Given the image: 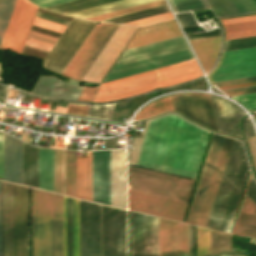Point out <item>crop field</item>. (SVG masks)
Returning a JSON list of instances; mask_svg holds the SVG:
<instances>
[{
    "mask_svg": "<svg viewBox=\"0 0 256 256\" xmlns=\"http://www.w3.org/2000/svg\"><path fill=\"white\" fill-rule=\"evenodd\" d=\"M232 98L243 104L248 110L256 107V93L233 96Z\"/></svg>",
    "mask_w": 256,
    "mask_h": 256,
    "instance_id": "c035e120",
    "label": "crop field"
},
{
    "mask_svg": "<svg viewBox=\"0 0 256 256\" xmlns=\"http://www.w3.org/2000/svg\"><path fill=\"white\" fill-rule=\"evenodd\" d=\"M221 256H232V255H221Z\"/></svg>",
    "mask_w": 256,
    "mask_h": 256,
    "instance_id": "d14b1444",
    "label": "crop field"
},
{
    "mask_svg": "<svg viewBox=\"0 0 256 256\" xmlns=\"http://www.w3.org/2000/svg\"><path fill=\"white\" fill-rule=\"evenodd\" d=\"M113 1H117V0H86L78 3L50 9V10H54V11L66 14L69 12H73V11H77V10H81V9H85V8L113 2Z\"/></svg>",
    "mask_w": 256,
    "mask_h": 256,
    "instance_id": "028f5c9d",
    "label": "crop field"
},
{
    "mask_svg": "<svg viewBox=\"0 0 256 256\" xmlns=\"http://www.w3.org/2000/svg\"><path fill=\"white\" fill-rule=\"evenodd\" d=\"M246 140L248 142L249 151H250L254 168L256 169V135L249 137Z\"/></svg>",
    "mask_w": 256,
    "mask_h": 256,
    "instance_id": "425ffa30",
    "label": "crop field"
},
{
    "mask_svg": "<svg viewBox=\"0 0 256 256\" xmlns=\"http://www.w3.org/2000/svg\"><path fill=\"white\" fill-rule=\"evenodd\" d=\"M188 37V40H192V39H198V38H204V37H211V36H217L220 35V30L216 29L210 32H199V33H190V34H186Z\"/></svg>",
    "mask_w": 256,
    "mask_h": 256,
    "instance_id": "25e5ab78",
    "label": "crop field"
},
{
    "mask_svg": "<svg viewBox=\"0 0 256 256\" xmlns=\"http://www.w3.org/2000/svg\"><path fill=\"white\" fill-rule=\"evenodd\" d=\"M0 256H2V232H1V182H0Z\"/></svg>",
    "mask_w": 256,
    "mask_h": 256,
    "instance_id": "447ae74e",
    "label": "crop field"
},
{
    "mask_svg": "<svg viewBox=\"0 0 256 256\" xmlns=\"http://www.w3.org/2000/svg\"><path fill=\"white\" fill-rule=\"evenodd\" d=\"M209 132L176 115L154 120L136 164L195 178Z\"/></svg>",
    "mask_w": 256,
    "mask_h": 256,
    "instance_id": "ac0d7876",
    "label": "crop field"
},
{
    "mask_svg": "<svg viewBox=\"0 0 256 256\" xmlns=\"http://www.w3.org/2000/svg\"><path fill=\"white\" fill-rule=\"evenodd\" d=\"M222 136L214 135L208 157L193 199V203L187 218V223L195 224L197 223L200 210L207 192V188L214 170V166L221 148L223 141Z\"/></svg>",
    "mask_w": 256,
    "mask_h": 256,
    "instance_id": "d9b57169",
    "label": "crop field"
},
{
    "mask_svg": "<svg viewBox=\"0 0 256 256\" xmlns=\"http://www.w3.org/2000/svg\"><path fill=\"white\" fill-rule=\"evenodd\" d=\"M63 143L64 142L57 141L56 147L62 148L63 147Z\"/></svg>",
    "mask_w": 256,
    "mask_h": 256,
    "instance_id": "78b8030e",
    "label": "crop field"
},
{
    "mask_svg": "<svg viewBox=\"0 0 256 256\" xmlns=\"http://www.w3.org/2000/svg\"><path fill=\"white\" fill-rule=\"evenodd\" d=\"M256 14V13H255ZM248 15H254V14H248ZM242 16H246V15H242ZM235 17H239V16H235ZM228 18H231V17H228ZM223 19V18H222Z\"/></svg>",
    "mask_w": 256,
    "mask_h": 256,
    "instance_id": "ae633e8c",
    "label": "crop field"
},
{
    "mask_svg": "<svg viewBox=\"0 0 256 256\" xmlns=\"http://www.w3.org/2000/svg\"><path fill=\"white\" fill-rule=\"evenodd\" d=\"M248 171L243 145L234 139L209 217L208 228L230 232Z\"/></svg>",
    "mask_w": 256,
    "mask_h": 256,
    "instance_id": "34b2d1b8",
    "label": "crop field"
},
{
    "mask_svg": "<svg viewBox=\"0 0 256 256\" xmlns=\"http://www.w3.org/2000/svg\"><path fill=\"white\" fill-rule=\"evenodd\" d=\"M175 12L209 8L204 0H169Z\"/></svg>",
    "mask_w": 256,
    "mask_h": 256,
    "instance_id": "5866460e",
    "label": "crop field"
},
{
    "mask_svg": "<svg viewBox=\"0 0 256 256\" xmlns=\"http://www.w3.org/2000/svg\"><path fill=\"white\" fill-rule=\"evenodd\" d=\"M242 126L246 138L255 134L248 117L243 120Z\"/></svg>",
    "mask_w": 256,
    "mask_h": 256,
    "instance_id": "dbb93151",
    "label": "crop field"
},
{
    "mask_svg": "<svg viewBox=\"0 0 256 256\" xmlns=\"http://www.w3.org/2000/svg\"><path fill=\"white\" fill-rule=\"evenodd\" d=\"M4 180L22 184V142L5 133Z\"/></svg>",
    "mask_w": 256,
    "mask_h": 256,
    "instance_id": "4a817a6b",
    "label": "crop field"
},
{
    "mask_svg": "<svg viewBox=\"0 0 256 256\" xmlns=\"http://www.w3.org/2000/svg\"><path fill=\"white\" fill-rule=\"evenodd\" d=\"M191 58L194 57L183 36L125 50L104 81L163 67Z\"/></svg>",
    "mask_w": 256,
    "mask_h": 256,
    "instance_id": "dd49c442",
    "label": "crop field"
},
{
    "mask_svg": "<svg viewBox=\"0 0 256 256\" xmlns=\"http://www.w3.org/2000/svg\"><path fill=\"white\" fill-rule=\"evenodd\" d=\"M31 33L38 34V35H41V36H44V37H47V38H51V39L56 40V38H52V37H49V36H46V35H42V34H39V33H36V32H32V31H31Z\"/></svg>",
    "mask_w": 256,
    "mask_h": 256,
    "instance_id": "0f1d7ab4",
    "label": "crop field"
},
{
    "mask_svg": "<svg viewBox=\"0 0 256 256\" xmlns=\"http://www.w3.org/2000/svg\"><path fill=\"white\" fill-rule=\"evenodd\" d=\"M3 256L29 255L28 188L2 182Z\"/></svg>",
    "mask_w": 256,
    "mask_h": 256,
    "instance_id": "e52e79f7",
    "label": "crop field"
},
{
    "mask_svg": "<svg viewBox=\"0 0 256 256\" xmlns=\"http://www.w3.org/2000/svg\"><path fill=\"white\" fill-rule=\"evenodd\" d=\"M36 16L44 18V19H48V20H51V21H54V22H58V23H61V24H65V25L68 23V20L61 19V18L52 16V15H49V14H45V13L39 12V11L37 12Z\"/></svg>",
    "mask_w": 256,
    "mask_h": 256,
    "instance_id": "1f2cbd36",
    "label": "crop field"
},
{
    "mask_svg": "<svg viewBox=\"0 0 256 256\" xmlns=\"http://www.w3.org/2000/svg\"><path fill=\"white\" fill-rule=\"evenodd\" d=\"M87 106L88 105L68 103L66 113L85 116Z\"/></svg>",
    "mask_w": 256,
    "mask_h": 256,
    "instance_id": "d23c7cc5",
    "label": "crop field"
},
{
    "mask_svg": "<svg viewBox=\"0 0 256 256\" xmlns=\"http://www.w3.org/2000/svg\"><path fill=\"white\" fill-rule=\"evenodd\" d=\"M36 9L27 0L16 1L0 47L22 52Z\"/></svg>",
    "mask_w": 256,
    "mask_h": 256,
    "instance_id": "3316defc",
    "label": "crop field"
},
{
    "mask_svg": "<svg viewBox=\"0 0 256 256\" xmlns=\"http://www.w3.org/2000/svg\"><path fill=\"white\" fill-rule=\"evenodd\" d=\"M93 201L110 205V150L92 151Z\"/></svg>",
    "mask_w": 256,
    "mask_h": 256,
    "instance_id": "5142ce71",
    "label": "crop field"
},
{
    "mask_svg": "<svg viewBox=\"0 0 256 256\" xmlns=\"http://www.w3.org/2000/svg\"><path fill=\"white\" fill-rule=\"evenodd\" d=\"M14 3L15 0L0 1V42L2 40Z\"/></svg>",
    "mask_w": 256,
    "mask_h": 256,
    "instance_id": "e1f06a70",
    "label": "crop field"
},
{
    "mask_svg": "<svg viewBox=\"0 0 256 256\" xmlns=\"http://www.w3.org/2000/svg\"><path fill=\"white\" fill-rule=\"evenodd\" d=\"M169 11L170 10L168 9L167 5H165V6H161V7H157V8H153V9H149V10H145V11H141V12H137V13H133V14L117 17V18H113V19H109V20H105L102 22L123 24V23L135 21L138 19L154 16V15L169 12Z\"/></svg>",
    "mask_w": 256,
    "mask_h": 256,
    "instance_id": "120bbe31",
    "label": "crop field"
},
{
    "mask_svg": "<svg viewBox=\"0 0 256 256\" xmlns=\"http://www.w3.org/2000/svg\"><path fill=\"white\" fill-rule=\"evenodd\" d=\"M192 180L161 174L129 166L131 191L188 202Z\"/></svg>",
    "mask_w": 256,
    "mask_h": 256,
    "instance_id": "d8731c3e",
    "label": "crop field"
},
{
    "mask_svg": "<svg viewBox=\"0 0 256 256\" xmlns=\"http://www.w3.org/2000/svg\"><path fill=\"white\" fill-rule=\"evenodd\" d=\"M164 4H166L164 0H158V1L150 2V3H146V4H142V5H138V6H134V7H130V8H126V9H122V10H118V11H114V12H110V13H106V14H102V15H98V16H94V17H90L87 19L100 21V20L132 13V12H136V11L164 5Z\"/></svg>",
    "mask_w": 256,
    "mask_h": 256,
    "instance_id": "d32e631a",
    "label": "crop field"
},
{
    "mask_svg": "<svg viewBox=\"0 0 256 256\" xmlns=\"http://www.w3.org/2000/svg\"><path fill=\"white\" fill-rule=\"evenodd\" d=\"M33 256H63L62 196L32 189Z\"/></svg>",
    "mask_w": 256,
    "mask_h": 256,
    "instance_id": "f4fd0767",
    "label": "crop field"
},
{
    "mask_svg": "<svg viewBox=\"0 0 256 256\" xmlns=\"http://www.w3.org/2000/svg\"><path fill=\"white\" fill-rule=\"evenodd\" d=\"M185 203L129 191V209L181 221Z\"/></svg>",
    "mask_w": 256,
    "mask_h": 256,
    "instance_id": "d1516ede",
    "label": "crop field"
},
{
    "mask_svg": "<svg viewBox=\"0 0 256 256\" xmlns=\"http://www.w3.org/2000/svg\"><path fill=\"white\" fill-rule=\"evenodd\" d=\"M232 140L233 139H231V138H227V137L224 138L222 148H221L218 160H217V164H216V167H215L212 179H211V183H210V186H209L206 198H205V202H204L201 214H200V218H199V221L197 224L199 226H203V227L206 226L208 216H209L212 204H213V200H214V197H215L218 185H219V181H220V178H221L224 166H225V162H226L229 150H230Z\"/></svg>",
    "mask_w": 256,
    "mask_h": 256,
    "instance_id": "214f88e0",
    "label": "crop field"
},
{
    "mask_svg": "<svg viewBox=\"0 0 256 256\" xmlns=\"http://www.w3.org/2000/svg\"><path fill=\"white\" fill-rule=\"evenodd\" d=\"M2 70L0 69V74H1Z\"/></svg>",
    "mask_w": 256,
    "mask_h": 256,
    "instance_id": "c39391a2",
    "label": "crop field"
},
{
    "mask_svg": "<svg viewBox=\"0 0 256 256\" xmlns=\"http://www.w3.org/2000/svg\"><path fill=\"white\" fill-rule=\"evenodd\" d=\"M183 29L198 27L190 12L176 14Z\"/></svg>",
    "mask_w": 256,
    "mask_h": 256,
    "instance_id": "03da06ac",
    "label": "crop field"
},
{
    "mask_svg": "<svg viewBox=\"0 0 256 256\" xmlns=\"http://www.w3.org/2000/svg\"><path fill=\"white\" fill-rule=\"evenodd\" d=\"M80 256H101L100 205L80 200Z\"/></svg>",
    "mask_w": 256,
    "mask_h": 256,
    "instance_id": "28ad6ade",
    "label": "crop field"
},
{
    "mask_svg": "<svg viewBox=\"0 0 256 256\" xmlns=\"http://www.w3.org/2000/svg\"><path fill=\"white\" fill-rule=\"evenodd\" d=\"M172 17L173 16H172L171 12H169V13L157 15V16H154V17L138 20V21H135V22L127 23V24L142 26V25L150 24V23H153V22L161 21V20H164V19L172 18Z\"/></svg>",
    "mask_w": 256,
    "mask_h": 256,
    "instance_id": "5d738f31",
    "label": "crop field"
},
{
    "mask_svg": "<svg viewBox=\"0 0 256 256\" xmlns=\"http://www.w3.org/2000/svg\"><path fill=\"white\" fill-rule=\"evenodd\" d=\"M28 41H32V42H35V43H39V44H43V45H46V46H50L51 47V45H48V44H45V43H42V42H38V41H35V40H32V39H27Z\"/></svg>",
    "mask_w": 256,
    "mask_h": 256,
    "instance_id": "7b73153f",
    "label": "crop field"
},
{
    "mask_svg": "<svg viewBox=\"0 0 256 256\" xmlns=\"http://www.w3.org/2000/svg\"><path fill=\"white\" fill-rule=\"evenodd\" d=\"M250 243L256 244V239L252 238Z\"/></svg>",
    "mask_w": 256,
    "mask_h": 256,
    "instance_id": "e1d0b9f6",
    "label": "crop field"
},
{
    "mask_svg": "<svg viewBox=\"0 0 256 256\" xmlns=\"http://www.w3.org/2000/svg\"><path fill=\"white\" fill-rule=\"evenodd\" d=\"M255 46H256V37L228 40V41H225L224 43L223 51L255 47Z\"/></svg>",
    "mask_w": 256,
    "mask_h": 256,
    "instance_id": "b80d0937",
    "label": "crop field"
},
{
    "mask_svg": "<svg viewBox=\"0 0 256 256\" xmlns=\"http://www.w3.org/2000/svg\"><path fill=\"white\" fill-rule=\"evenodd\" d=\"M218 18L255 13L256 0H208Z\"/></svg>",
    "mask_w": 256,
    "mask_h": 256,
    "instance_id": "92a150f3",
    "label": "crop field"
},
{
    "mask_svg": "<svg viewBox=\"0 0 256 256\" xmlns=\"http://www.w3.org/2000/svg\"><path fill=\"white\" fill-rule=\"evenodd\" d=\"M233 233L256 237V206L244 196Z\"/></svg>",
    "mask_w": 256,
    "mask_h": 256,
    "instance_id": "4177f3b9",
    "label": "crop field"
},
{
    "mask_svg": "<svg viewBox=\"0 0 256 256\" xmlns=\"http://www.w3.org/2000/svg\"><path fill=\"white\" fill-rule=\"evenodd\" d=\"M219 65L207 76L210 82L256 76V48L225 52Z\"/></svg>",
    "mask_w": 256,
    "mask_h": 256,
    "instance_id": "5a996713",
    "label": "crop field"
},
{
    "mask_svg": "<svg viewBox=\"0 0 256 256\" xmlns=\"http://www.w3.org/2000/svg\"><path fill=\"white\" fill-rule=\"evenodd\" d=\"M150 1H154V0H122V1L111 3V4L67 14V15L86 18V17L130 7V6H134V5H138V4H142Z\"/></svg>",
    "mask_w": 256,
    "mask_h": 256,
    "instance_id": "d3111659",
    "label": "crop field"
},
{
    "mask_svg": "<svg viewBox=\"0 0 256 256\" xmlns=\"http://www.w3.org/2000/svg\"><path fill=\"white\" fill-rule=\"evenodd\" d=\"M160 256H187V225L159 219Z\"/></svg>",
    "mask_w": 256,
    "mask_h": 256,
    "instance_id": "cbeb9de0",
    "label": "crop field"
},
{
    "mask_svg": "<svg viewBox=\"0 0 256 256\" xmlns=\"http://www.w3.org/2000/svg\"><path fill=\"white\" fill-rule=\"evenodd\" d=\"M0 177L3 178V135H0Z\"/></svg>",
    "mask_w": 256,
    "mask_h": 256,
    "instance_id": "1d79db26",
    "label": "crop field"
},
{
    "mask_svg": "<svg viewBox=\"0 0 256 256\" xmlns=\"http://www.w3.org/2000/svg\"><path fill=\"white\" fill-rule=\"evenodd\" d=\"M28 37L32 38V39H35V40H38V41H42V42L51 44V45L54 43V40L47 39V38H44V37H41V36H38V35H34V34H31V33L29 34Z\"/></svg>",
    "mask_w": 256,
    "mask_h": 256,
    "instance_id": "9d1cf04e",
    "label": "crop field"
},
{
    "mask_svg": "<svg viewBox=\"0 0 256 256\" xmlns=\"http://www.w3.org/2000/svg\"><path fill=\"white\" fill-rule=\"evenodd\" d=\"M77 197L92 201L91 151L77 156Z\"/></svg>",
    "mask_w": 256,
    "mask_h": 256,
    "instance_id": "a9b5d70f",
    "label": "crop field"
},
{
    "mask_svg": "<svg viewBox=\"0 0 256 256\" xmlns=\"http://www.w3.org/2000/svg\"><path fill=\"white\" fill-rule=\"evenodd\" d=\"M233 256H236V255H233Z\"/></svg>",
    "mask_w": 256,
    "mask_h": 256,
    "instance_id": "ade564c9",
    "label": "crop field"
},
{
    "mask_svg": "<svg viewBox=\"0 0 256 256\" xmlns=\"http://www.w3.org/2000/svg\"><path fill=\"white\" fill-rule=\"evenodd\" d=\"M220 21L226 33L225 40L256 36V15Z\"/></svg>",
    "mask_w": 256,
    "mask_h": 256,
    "instance_id": "dafd665d",
    "label": "crop field"
},
{
    "mask_svg": "<svg viewBox=\"0 0 256 256\" xmlns=\"http://www.w3.org/2000/svg\"><path fill=\"white\" fill-rule=\"evenodd\" d=\"M218 256H220V255H218Z\"/></svg>",
    "mask_w": 256,
    "mask_h": 256,
    "instance_id": "c5b07064",
    "label": "crop field"
},
{
    "mask_svg": "<svg viewBox=\"0 0 256 256\" xmlns=\"http://www.w3.org/2000/svg\"><path fill=\"white\" fill-rule=\"evenodd\" d=\"M182 35L174 19L139 28L125 49Z\"/></svg>",
    "mask_w": 256,
    "mask_h": 256,
    "instance_id": "bc2a9ffb",
    "label": "crop field"
},
{
    "mask_svg": "<svg viewBox=\"0 0 256 256\" xmlns=\"http://www.w3.org/2000/svg\"><path fill=\"white\" fill-rule=\"evenodd\" d=\"M229 96L256 92V77L214 83Z\"/></svg>",
    "mask_w": 256,
    "mask_h": 256,
    "instance_id": "ae1a2a85",
    "label": "crop field"
},
{
    "mask_svg": "<svg viewBox=\"0 0 256 256\" xmlns=\"http://www.w3.org/2000/svg\"><path fill=\"white\" fill-rule=\"evenodd\" d=\"M64 256H67L66 197L63 196ZM73 256H79V200L72 198Z\"/></svg>",
    "mask_w": 256,
    "mask_h": 256,
    "instance_id": "eef30255",
    "label": "crop field"
},
{
    "mask_svg": "<svg viewBox=\"0 0 256 256\" xmlns=\"http://www.w3.org/2000/svg\"><path fill=\"white\" fill-rule=\"evenodd\" d=\"M108 105H93L89 104L86 116L99 117L105 119Z\"/></svg>",
    "mask_w": 256,
    "mask_h": 256,
    "instance_id": "c21b1889",
    "label": "crop field"
},
{
    "mask_svg": "<svg viewBox=\"0 0 256 256\" xmlns=\"http://www.w3.org/2000/svg\"><path fill=\"white\" fill-rule=\"evenodd\" d=\"M210 252V230L197 227V256Z\"/></svg>",
    "mask_w": 256,
    "mask_h": 256,
    "instance_id": "0bd39190",
    "label": "crop field"
},
{
    "mask_svg": "<svg viewBox=\"0 0 256 256\" xmlns=\"http://www.w3.org/2000/svg\"><path fill=\"white\" fill-rule=\"evenodd\" d=\"M106 83H102L93 102L118 100L171 86L202 75L196 60Z\"/></svg>",
    "mask_w": 256,
    "mask_h": 256,
    "instance_id": "412701ff",
    "label": "crop field"
},
{
    "mask_svg": "<svg viewBox=\"0 0 256 256\" xmlns=\"http://www.w3.org/2000/svg\"><path fill=\"white\" fill-rule=\"evenodd\" d=\"M209 96L218 130L220 132L241 137L238 120L243 116L244 112L237 105L222 97L217 95Z\"/></svg>",
    "mask_w": 256,
    "mask_h": 256,
    "instance_id": "733c2abd",
    "label": "crop field"
},
{
    "mask_svg": "<svg viewBox=\"0 0 256 256\" xmlns=\"http://www.w3.org/2000/svg\"><path fill=\"white\" fill-rule=\"evenodd\" d=\"M246 194L253 200V202L256 204V184L252 179H250L249 186L247 189Z\"/></svg>",
    "mask_w": 256,
    "mask_h": 256,
    "instance_id": "0fb4a251",
    "label": "crop field"
},
{
    "mask_svg": "<svg viewBox=\"0 0 256 256\" xmlns=\"http://www.w3.org/2000/svg\"><path fill=\"white\" fill-rule=\"evenodd\" d=\"M95 22L74 18L44 61L43 67L61 73ZM118 25L97 23L62 74L81 80ZM138 27L119 25L82 80L101 82Z\"/></svg>",
    "mask_w": 256,
    "mask_h": 256,
    "instance_id": "8a807250",
    "label": "crop field"
},
{
    "mask_svg": "<svg viewBox=\"0 0 256 256\" xmlns=\"http://www.w3.org/2000/svg\"><path fill=\"white\" fill-rule=\"evenodd\" d=\"M7 92V87L0 85V100L4 101Z\"/></svg>",
    "mask_w": 256,
    "mask_h": 256,
    "instance_id": "0765c3eb",
    "label": "crop field"
},
{
    "mask_svg": "<svg viewBox=\"0 0 256 256\" xmlns=\"http://www.w3.org/2000/svg\"><path fill=\"white\" fill-rule=\"evenodd\" d=\"M170 97L174 110L180 111L189 118L217 130L208 95L177 94Z\"/></svg>",
    "mask_w": 256,
    "mask_h": 256,
    "instance_id": "22f410ed",
    "label": "crop field"
},
{
    "mask_svg": "<svg viewBox=\"0 0 256 256\" xmlns=\"http://www.w3.org/2000/svg\"><path fill=\"white\" fill-rule=\"evenodd\" d=\"M97 86L94 88L84 87L78 100L91 101Z\"/></svg>",
    "mask_w": 256,
    "mask_h": 256,
    "instance_id": "89e229c0",
    "label": "crop field"
},
{
    "mask_svg": "<svg viewBox=\"0 0 256 256\" xmlns=\"http://www.w3.org/2000/svg\"><path fill=\"white\" fill-rule=\"evenodd\" d=\"M205 73L211 69L220 44V36L189 41Z\"/></svg>",
    "mask_w": 256,
    "mask_h": 256,
    "instance_id": "00972430",
    "label": "crop field"
},
{
    "mask_svg": "<svg viewBox=\"0 0 256 256\" xmlns=\"http://www.w3.org/2000/svg\"><path fill=\"white\" fill-rule=\"evenodd\" d=\"M39 188L53 192V150L39 148Z\"/></svg>",
    "mask_w": 256,
    "mask_h": 256,
    "instance_id": "730fd06b",
    "label": "crop field"
},
{
    "mask_svg": "<svg viewBox=\"0 0 256 256\" xmlns=\"http://www.w3.org/2000/svg\"><path fill=\"white\" fill-rule=\"evenodd\" d=\"M33 24L37 25V26H40V27H43V28H47V29L59 32V33H61L65 28L64 25L54 23V22H51V21H48V20H44V19H41V18H37V17L35 18V21H34Z\"/></svg>",
    "mask_w": 256,
    "mask_h": 256,
    "instance_id": "b54c1fbb",
    "label": "crop field"
},
{
    "mask_svg": "<svg viewBox=\"0 0 256 256\" xmlns=\"http://www.w3.org/2000/svg\"><path fill=\"white\" fill-rule=\"evenodd\" d=\"M54 192L65 194L64 150L54 149Z\"/></svg>",
    "mask_w": 256,
    "mask_h": 256,
    "instance_id": "750c4746",
    "label": "crop field"
},
{
    "mask_svg": "<svg viewBox=\"0 0 256 256\" xmlns=\"http://www.w3.org/2000/svg\"><path fill=\"white\" fill-rule=\"evenodd\" d=\"M66 194L76 197L75 151L65 150Z\"/></svg>",
    "mask_w": 256,
    "mask_h": 256,
    "instance_id": "bd1437ed",
    "label": "crop field"
},
{
    "mask_svg": "<svg viewBox=\"0 0 256 256\" xmlns=\"http://www.w3.org/2000/svg\"><path fill=\"white\" fill-rule=\"evenodd\" d=\"M78 1H82V0H77V1L69 2V3H65V4L49 7V8H46V9H50V8H54V7H58V6H62V5H66V4H70V3H74V2H78Z\"/></svg>",
    "mask_w": 256,
    "mask_h": 256,
    "instance_id": "db79e9e6",
    "label": "crop field"
},
{
    "mask_svg": "<svg viewBox=\"0 0 256 256\" xmlns=\"http://www.w3.org/2000/svg\"><path fill=\"white\" fill-rule=\"evenodd\" d=\"M167 110H173L169 96L160 100H156L151 104L147 105L146 107H144L143 109H141L136 114L134 120L150 117Z\"/></svg>",
    "mask_w": 256,
    "mask_h": 256,
    "instance_id": "1d83c4d3",
    "label": "crop field"
},
{
    "mask_svg": "<svg viewBox=\"0 0 256 256\" xmlns=\"http://www.w3.org/2000/svg\"><path fill=\"white\" fill-rule=\"evenodd\" d=\"M30 1L40 5L43 8H45V7L65 3V2H68V1H72V0H30Z\"/></svg>",
    "mask_w": 256,
    "mask_h": 256,
    "instance_id": "73cf0c24",
    "label": "crop field"
}]
</instances>
